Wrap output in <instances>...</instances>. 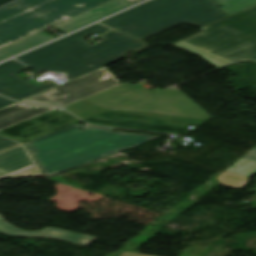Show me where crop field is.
I'll list each match as a JSON object with an SVG mask.
<instances>
[{
  "mask_svg": "<svg viewBox=\"0 0 256 256\" xmlns=\"http://www.w3.org/2000/svg\"><path fill=\"white\" fill-rule=\"evenodd\" d=\"M223 10L232 15L256 5V0H218Z\"/></svg>",
  "mask_w": 256,
  "mask_h": 256,
  "instance_id": "13",
  "label": "crop field"
},
{
  "mask_svg": "<svg viewBox=\"0 0 256 256\" xmlns=\"http://www.w3.org/2000/svg\"><path fill=\"white\" fill-rule=\"evenodd\" d=\"M243 158L256 162V148L252 149L250 152L245 154Z\"/></svg>",
  "mask_w": 256,
  "mask_h": 256,
  "instance_id": "17",
  "label": "crop field"
},
{
  "mask_svg": "<svg viewBox=\"0 0 256 256\" xmlns=\"http://www.w3.org/2000/svg\"><path fill=\"white\" fill-rule=\"evenodd\" d=\"M120 256H148V255H142V254H135V253H129V252H124Z\"/></svg>",
  "mask_w": 256,
  "mask_h": 256,
  "instance_id": "18",
  "label": "crop field"
},
{
  "mask_svg": "<svg viewBox=\"0 0 256 256\" xmlns=\"http://www.w3.org/2000/svg\"><path fill=\"white\" fill-rule=\"evenodd\" d=\"M112 130L73 124L24 144L45 176L51 177L159 138Z\"/></svg>",
  "mask_w": 256,
  "mask_h": 256,
  "instance_id": "1",
  "label": "crop field"
},
{
  "mask_svg": "<svg viewBox=\"0 0 256 256\" xmlns=\"http://www.w3.org/2000/svg\"><path fill=\"white\" fill-rule=\"evenodd\" d=\"M226 16L216 0H150L100 23L142 40L182 22L202 27Z\"/></svg>",
  "mask_w": 256,
  "mask_h": 256,
  "instance_id": "3",
  "label": "crop field"
},
{
  "mask_svg": "<svg viewBox=\"0 0 256 256\" xmlns=\"http://www.w3.org/2000/svg\"><path fill=\"white\" fill-rule=\"evenodd\" d=\"M243 60H256V55H253V56L248 57V58L243 59Z\"/></svg>",
  "mask_w": 256,
  "mask_h": 256,
  "instance_id": "19",
  "label": "crop field"
},
{
  "mask_svg": "<svg viewBox=\"0 0 256 256\" xmlns=\"http://www.w3.org/2000/svg\"><path fill=\"white\" fill-rule=\"evenodd\" d=\"M86 100L105 110L118 109L203 119L211 117L185 94L173 89L154 93L137 86L121 85Z\"/></svg>",
  "mask_w": 256,
  "mask_h": 256,
  "instance_id": "6",
  "label": "crop field"
},
{
  "mask_svg": "<svg viewBox=\"0 0 256 256\" xmlns=\"http://www.w3.org/2000/svg\"><path fill=\"white\" fill-rule=\"evenodd\" d=\"M176 45L202 56L217 68L256 54V6L210 24Z\"/></svg>",
  "mask_w": 256,
  "mask_h": 256,
  "instance_id": "4",
  "label": "crop field"
},
{
  "mask_svg": "<svg viewBox=\"0 0 256 256\" xmlns=\"http://www.w3.org/2000/svg\"><path fill=\"white\" fill-rule=\"evenodd\" d=\"M53 37L48 34L40 31L36 34H33L29 37H26L22 40H19L15 43H12L8 46H5L0 49V61L9 58L13 55H16L22 51H25L29 48H32L36 45H39L45 41L52 39Z\"/></svg>",
  "mask_w": 256,
  "mask_h": 256,
  "instance_id": "12",
  "label": "crop field"
},
{
  "mask_svg": "<svg viewBox=\"0 0 256 256\" xmlns=\"http://www.w3.org/2000/svg\"><path fill=\"white\" fill-rule=\"evenodd\" d=\"M42 174V171L24 146V144L0 153V178L23 177ZM0 232L9 236L49 237L86 246L96 238L56 229L45 228L40 232H26L2 220Z\"/></svg>",
  "mask_w": 256,
  "mask_h": 256,
  "instance_id": "7",
  "label": "crop field"
},
{
  "mask_svg": "<svg viewBox=\"0 0 256 256\" xmlns=\"http://www.w3.org/2000/svg\"><path fill=\"white\" fill-rule=\"evenodd\" d=\"M108 30L99 24L91 25L16 59L36 70L64 73L68 81L120 59L131 49L147 46L114 31L102 36L105 40L94 46L83 39L92 33L100 35Z\"/></svg>",
  "mask_w": 256,
  "mask_h": 256,
  "instance_id": "2",
  "label": "crop field"
},
{
  "mask_svg": "<svg viewBox=\"0 0 256 256\" xmlns=\"http://www.w3.org/2000/svg\"><path fill=\"white\" fill-rule=\"evenodd\" d=\"M57 109L56 107L14 103L0 109V131L42 114Z\"/></svg>",
  "mask_w": 256,
  "mask_h": 256,
  "instance_id": "10",
  "label": "crop field"
},
{
  "mask_svg": "<svg viewBox=\"0 0 256 256\" xmlns=\"http://www.w3.org/2000/svg\"><path fill=\"white\" fill-rule=\"evenodd\" d=\"M117 85L120 83L103 67L58 87L33 95L22 102L64 106Z\"/></svg>",
  "mask_w": 256,
  "mask_h": 256,
  "instance_id": "8",
  "label": "crop field"
},
{
  "mask_svg": "<svg viewBox=\"0 0 256 256\" xmlns=\"http://www.w3.org/2000/svg\"><path fill=\"white\" fill-rule=\"evenodd\" d=\"M110 0H18L0 8V47Z\"/></svg>",
  "mask_w": 256,
  "mask_h": 256,
  "instance_id": "5",
  "label": "crop field"
},
{
  "mask_svg": "<svg viewBox=\"0 0 256 256\" xmlns=\"http://www.w3.org/2000/svg\"><path fill=\"white\" fill-rule=\"evenodd\" d=\"M128 1L133 3V4H136V3L140 2V1H143V0H128Z\"/></svg>",
  "mask_w": 256,
  "mask_h": 256,
  "instance_id": "20",
  "label": "crop field"
},
{
  "mask_svg": "<svg viewBox=\"0 0 256 256\" xmlns=\"http://www.w3.org/2000/svg\"><path fill=\"white\" fill-rule=\"evenodd\" d=\"M12 103H14V101L7 99L3 96H0V108L7 106L9 104H12ZM19 143H21V142H18V141H15V140H12V139H9L7 137L0 135V151L4 150L6 148L12 147L14 145H17Z\"/></svg>",
  "mask_w": 256,
  "mask_h": 256,
  "instance_id": "16",
  "label": "crop field"
},
{
  "mask_svg": "<svg viewBox=\"0 0 256 256\" xmlns=\"http://www.w3.org/2000/svg\"><path fill=\"white\" fill-rule=\"evenodd\" d=\"M130 5L132 4L126 0H113L88 12H85L79 16H76L70 20L60 23L54 27L67 33L76 28L104 18Z\"/></svg>",
  "mask_w": 256,
  "mask_h": 256,
  "instance_id": "11",
  "label": "crop field"
},
{
  "mask_svg": "<svg viewBox=\"0 0 256 256\" xmlns=\"http://www.w3.org/2000/svg\"><path fill=\"white\" fill-rule=\"evenodd\" d=\"M237 166L234 168L233 166ZM232 167H230L227 171H231L237 174H241L244 176H250L256 172V163L252 161H248L245 159H240L236 162Z\"/></svg>",
  "mask_w": 256,
  "mask_h": 256,
  "instance_id": "15",
  "label": "crop field"
},
{
  "mask_svg": "<svg viewBox=\"0 0 256 256\" xmlns=\"http://www.w3.org/2000/svg\"><path fill=\"white\" fill-rule=\"evenodd\" d=\"M216 179L220 180L219 183L222 185L234 187V188H241L243 187L246 182L247 178L244 176H240L234 173L230 172H223L220 176H218Z\"/></svg>",
  "mask_w": 256,
  "mask_h": 256,
  "instance_id": "14",
  "label": "crop field"
},
{
  "mask_svg": "<svg viewBox=\"0 0 256 256\" xmlns=\"http://www.w3.org/2000/svg\"><path fill=\"white\" fill-rule=\"evenodd\" d=\"M9 1H11V0H0V5H2V4H4V3H7V2H9Z\"/></svg>",
  "mask_w": 256,
  "mask_h": 256,
  "instance_id": "21",
  "label": "crop field"
},
{
  "mask_svg": "<svg viewBox=\"0 0 256 256\" xmlns=\"http://www.w3.org/2000/svg\"><path fill=\"white\" fill-rule=\"evenodd\" d=\"M26 69L28 68L13 60L0 65V93L20 101L30 95L60 85L52 81L37 87L15 75Z\"/></svg>",
  "mask_w": 256,
  "mask_h": 256,
  "instance_id": "9",
  "label": "crop field"
}]
</instances>
